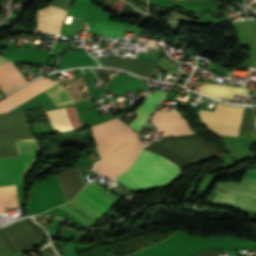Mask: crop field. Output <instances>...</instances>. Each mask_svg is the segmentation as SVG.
Wrapping results in <instances>:
<instances>
[{"label": "crop field", "mask_w": 256, "mask_h": 256, "mask_svg": "<svg viewBox=\"0 0 256 256\" xmlns=\"http://www.w3.org/2000/svg\"><path fill=\"white\" fill-rule=\"evenodd\" d=\"M144 149L164 156L180 168L223 154L196 135L163 138L161 143L155 141ZM158 155L142 150L130 169L115 182L132 191L167 185L182 171L177 165Z\"/></svg>", "instance_id": "crop-field-1"}, {"label": "crop field", "mask_w": 256, "mask_h": 256, "mask_svg": "<svg viewBox=\"0 0 256 256\" xmlns=\"http://www.w3.org/2000/svg\"><path fill=\"white\" fill-rule=\"evenodd\" d=\"M56 84V82L46 78L42 77L29 85L23 87L22 89L18 90L17 92L7 96L6 98L0 100V102L5 105L10 110L14 107L22 104L24 101L28 100L29 98L43 92L44 90L48 89L52 85ZM54 102L55 106H63L68 104H73V100L70 98V96L67 94V92L64 90L62 86H60L58 83L48 90L44 91ZM2 104H0V113L1 112H9L6 107H4ZM69 117V120L71 122L72 128H78L82 127V123L78 117L77 109L75 106L65 108ZM65 109H58V110H52V111H46L51 125L57 130V131H64L68 129H72L71 125L69 123L67 114L65 112ZM51 125H40L35 124V128H53ZM55 129H35L36 132L49 134V133H55L57 132Z\"/></svg>", "instance_id": "crop-field-2"}, {"label": "crop field", "mask_w": 256, "mask_h": 256, "mask_svg": "<svg viewBox=\"0 0 256 256\" xmlns=\"http://www.w3.org/2000/svg\"><path fill=\"white\" fill-rule=\"evenodd\" d=\"M117 200L98 184L91 182L72 201L58 207L82 223L90 224Z\"/></svg>", "instance_id": "crop-field-3"}, {"label": "crop field", "mask_w": 256, "mask_h": 256, "mask_svg": "<svg viewBox=\"0 0 256 256\" xmlns=\"http://www.w3.org/2000/svg\"><path fill=\"white\" fill-rule=\"evenodd\" d=\"M19 158L0 159V171L32 167L36 162V139L15 141ZM30 168L0 172V185L23 183Z\"/></svg>", "instance_id": "crop-field-4"}, {"label": "crop field", "mask_w": 256, "mask_h": 256, "mask_svg": "<svg viewBox=\"0 0 256 256\" xmlns=\"http://www.w3.org/2000/svg\"><path fill=\"white\" fill-rule=\"evenodd\" d=\"M91 129L101 157L112 152L137 134L116 118L92 126Z\"/></svg>", "instance_id": "crop-field-5"}, {"label": "crop field", "mask_w": 256, "mask_h": 256, "mask_svg": "<svg viewBox=\"0 0 256 256\" xmlns=\"http://www.w3.org/2000/svg\"><path fill=\"white\" fill-rule=\"evenodd\" d=\"M29 138L22 113L0 114V158L18 156L14 140Z\"/></svg>", "instance_id": "crop-field-6"}, {"label": "crop field", "mask_w": 256, "mask_h": 256, "mask_svg": "<svg viewBox=\"0 0 256 256\" xmlns=\"http://www.w3.org/2000/svg\"><path fill=\"white\" fill-rule=\"evenodd\" d=\"M142 147H144V145L140 144L136 137L133 138L113 153L95 162V171L99 174H104L111 179H115L121 173L126 171Z\"/></svg>", "instance_id": "crop-field-7"}, {"label": "crop field", "mask_w": 256, "mask_h": 256, "mask_svg": "<svg viewBox=\"0 0 256 256\" xmlns=\"http://www.w3.org/2000/svg\"><path fill=\"white\" fill-rule=\"evenodd\" d=\"M243 107L217 104L215 112L201 110L203 123L217 134L237 136Z\"/></svg>", "instance_id": "crop-field-8"}, {"label": "crop field", "mask_w": 256, "mask_h": 256, "mask_svg": "<svg viewBox=\"0 0 256 256\" xmlns=\"http://www.w3.org/2000/svg\"><path fill=\"white\" fill-rule=\"evenodd\" d=\"M152 122L157 126L159 132H164L163 136L194 133L180 112H155Z\"/></svg>", "instance_id": "crop-field-9"}, {"label": "crop field", "mask_w": 256, "mask_h": 256, "mask_svg": "<svg viewBox=\"0 0 256 256\" xmlns=\"http://www.w3.org/2000/svg\"><path fill=\"white\" fill-rule=\"evenodd\" d=\"M100 60L105 66L131 71L147 78L153 71L157 61L142 58H102Z\"/></svg>", "instance_id": "crop-field-10"}, {"label": "crop field", "mask_w": 256, "mask_h": 256, "mask_svg": "<svg viewBox=\"0 0 256 256\" xmlns=\"http://www.w3.org/2000/svg\"><path fill=\"white\" fill-rule=\"evenodd\" d=\"M66 11L49 5L37 11V30L58 33Z\"/></svg>", "instance_id": "crop-field-11"}, {"label": "crop field", "mask_w": 256, "mask_h": 256, "mask_svg": "<svg viewBox=\"0 0 256 256\" xmlns=\"http://www.w3.org/2000/svg\"><path fill=\"white\" fill-rule=\"evenodd\" d=\"M81 175L83 174L79 166H75L57 175L66 202L75 197L84 186Z\"/></svg>", "instance_id": "crop-field-12"}, {"label": "crop field", "mask_w": 256, "mask_h": 256, "mask_svg": "<svg viewBox=\"0 0 256 256\" xmlns=\"http://www.w3.org/2000/svg\"><path fill=\"white\" fill-rule=\"evenodd\" d=\"M8 60L0 57V63L6 62ZM27 82L25 78L20 74L17 68L11 61L3 63L0 65V87L4 92L12 89L16 85H21ZM0 88V94L3 93Z\"/></svg>", "instance_id": "crop-field-13"}, {"label": "crop field", "mask_w": 256, "mask_h": 256, "mask_svg": "<svg viewBox=\"0 0 256 256\" xmlns=\"http://www.w3.org/2000/svg\"><path fill=\"white\" fill-rule=\"evenodd\" d=\"M163 91L155 90L153 94H147L143 103L141 104L137 114L138 116L130 125L134 130L138 131L143 127L145 122L149 119L156 105L162 100L164 96Z\"/></svg>", "instance_id": "crop-field-14"}, {"label": "crop field", "mask_w": 256, "mask_h": 256, "mask_svg": "<svg viewBox=\"0 0 256 256\" xmlns=\"http://www.w3.org/2000/svg\"><path fill=\"white\" fill-rule=\"evenodd\" d=\"M198 92L228 101L232 100L234 94L248 96L247 89L244 88L206 83L199 87Z\"/></svg>", "instance_id": "crop-field-15"}, {"label": "crop field", "mask_w": 256, "mask_h": 256, "mask_svg": "<svg viewBox=\"0 0 256 256\" xmlns=\"http://www.w3.org/2000/svg\"><path fill=\"white\" fill-rule=\"evenodd\" d=\"M214 201L232 204L246 210L256 211V196L252 195L230 192L228 194H223L217 192Z\"/></svg>", "instance_id": "crop-field-16"}, {"label": "crop field", "mask_w": 256, "mask_h": 256, "mask_svg": "<svg viewBox=\"0 0 256 256\" xmlns=\"http://www.w3.org/2000/svg\"><path fill=\"white\" fill-rule=\"evenodd\" d=\"M124 24L106 20L95 24L89 32L103 37H123Z\"/></svg>", "instance_id": "crop-field-17"}, {"label": "crop field", "mask_w": 256, "mask_h": 256, "mask_svg": "<svg viewBox=\"0 0 256 256\" xmlns=\"http://www.w3.org/2000/svg\"><path fill=\"white\" fill-rule=\"evenodd\" d=\"M216 189H224L228 191L242 192L256 195V179L243 177L241 183L219 182Z\"/></svg>", "instance_id": "crop-field-18"}, {"label": "crop field", "mask_w": 256, "mask_h": 256, "mask_svg": "<svg viewBox=\"0 0 256 256\" xmlns=\"http://www.w3.org/2000/svg\"><path fill=\"white\" fill-rule=\"evenodd\" d=\"M19 207L15 185L0 187V208Z\"/></svg>", "instance_id": "crop-field-19"}, {"label": "crop field", "mask_w": 256, "mask_h": 256, "mask_svg": "<svg viewBox=\"0 0 256 256\" xmlns=\"http://www.w3.org/2000/svg\"><path fill=\"white\" fill-rule=\"evenodd\" d=\"M255 127L256 125L252 116V107H244L238 137L252 138L253 129Z\"/></svg>", "instance_id": "crop-field-20"}, {"label": "crop field", "mask_w": 256, "mask_h": 256, "mask_svg": "<svg viewBox=\"0 0 256 256\" xmlns=\"http://www.w3.org/2000/svg\"><path fill=\"white\" fill-rule=\"evenodd\" d=\"M13 252L0 234V256L12 255Z\"/></svg>", "instance_id": "crop-field-21"}, {"label": "crop field", "mask_w": 256, "mask_h": 256, "mask_svg": "<svg viewBox=\"0 0 256 256\" xmlns=\"http://www.w3.org/2000/svg\"><path fill=\"white\" fill-rule=\"evenodd\" d=\"M225 251L224 249H209V250H203V251H198L190 256H211L213 254L219 253Z\"/></svg>", "instance_id": "crop-field-22"}, {"label": "crop field", "mask_w": 256, "mask_h": 256, "mask_svg": "<svg viewBox=\"0 0 256 256\" xmlns=\"http://www.w3.org/2000/svg\"><path fill=\"white\" fill-rule=\"evenodd\" d=\"M115 77H116V76L114 75L112 79H115Z\"/></svg>", "instance_id": "crop-field-23"}]
</instances>
